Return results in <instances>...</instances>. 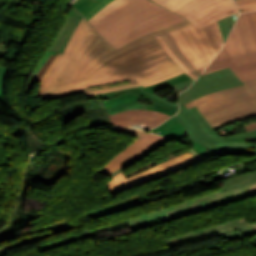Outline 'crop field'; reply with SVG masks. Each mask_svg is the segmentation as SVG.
<instances>
[{"label":"crop field","mask_w":256,"mask_h":256,"mask_svg":"<svg viewBox=\"0 0 256 256\" xmlns=\"http://www.w3.org/2000/svg\"><path fill=\"white\" fill-rule=\"evenodd\" d=\"M157 41L162 45V47L167 51V53L172 57V59L176 62L177 65H179L181 68H183L191 77L196 79V77L176 58V56L168 49V47L165 45L163 40L160 38V36L156 37Z\"/></svg>","instance_id":"crop-field-30"},{"label":"crop field","mask_w":256,"mask_h":256,"mask_svg":"<svg viewBox=\"0 0 256 256\" xmlns=\"http://www.w3.org/2000/svg\"><path fill=\"white\" fill-rule=\"evenodd\" d=\"M256 182V171L238 175L225 180L220 192L238 189Z\"/></svg>","instance_id":"crop-field-17"},{"label":"crop field","mask_w":256,"mask_h":256,"mask_svg":"<svg viewBox=\"0 0 256 256\" xmlns=\"http://www.w3.org/2000/svg\"><path fill=\"white\" fill-rule=\"evenodd\" d=\"M170 139L164 141L163 143L159 144L158 146L152 148L151 150L147 151L146 153H144L143 155L139 156L138 158H136L135 160L131 161L130 163H128L127 165L123 166L122 168L118 169L117 171H115L113 174H111L110 176L113 177L114 175L120 173L122 170H124L126 167H128L129 165L133 164L134 162H136L137 160H139L140 158H142L143 156L147 155L148 153H150L151 151L155 150L156 148L160 147L161 145H163L164 143L168 142Z\"/></svg>","instance_id":"crop-field-31"},{"label":"crop field","mask_w":256,"mask_h":256,"mask_svg":"<svg viewBox=\"0 0 256 256\" xmlns=\"http://www.w3.org/2000/svg\"><path fill=\"white\" fill-rule=\"evenodd\" d=\"M190 24L193 23L189 20L173 24L144 35L116 50L83 17L64 53H58L44 74L36 96L120 78L135 77L139 82L85 92L87 96L96 95L156 84L183 73L181 68L166 57V53L153 37Z\"/></svg>","instance_id":"crop-field-1"},{"label":"crop field","mask_w":256,"mask_h":256,"mask_svg":"<svg viewBox=\"0 0 256 256\" xmlns=\"http://www.w3.org/2000/svg\"><path fill=\"white\" fill-rule=\"evenodd\" d=\"M137 205H140V202L138 201V199L135 198V199H131V200H128L125 202L114 204V205H111L108 207L97 209V210H94L91 212H87V215L90 217V219H93V218L101 217V216L108 215V214H111L114 212H118V211L130 208V207H134Z\"/></svg>","instance_id":"crop-field-19"},{"label":"crop field","mask_w":256,"mask_h":256,"mask_svg":"<svg viewBox=\"0 0 256 256\" xmlns=\"http://www.w3.org/2000/svg\"><path fill=\"white\" fill-rule=\"evenodd\" d=\"M7 70H8V68L0 66V101L4 97L2 82H3L4 76L7 72Z\"/></svg>","instance_id":"crop-field-32"},{"label":"crop field","mask_w":256,"mask_h":256,"mask_svg":"<svg viewBox=\"0 0 256 256\" xmlns=\"http://www.w3.org/2000/svg\"><path fill=\"white\" fill-rule=\"evenodd\" d=\"M112 0H76L71 6L76 8L88 21L102 7Z\"/></svg>","instance_id":"crop-field-16"},{"label":"crop field","mask_w":256,"mask_h":256,"mask_svg":"<svg viewBox=\"0 0 256 256\" xmlns=\"http://www.w3.org/2000/svg\"><path fill=\"white\" fill-rule=\"evenodd\" d=\"M235 26L248 60L256 59V12L240 14Z\"/></svg>","instance_id":"crop-field-12"},{"label":"crop field","mask_w":256,"mask_h":256,"mask_svg":"<svg viewBox=\"0 0 256 256\" xmlns=\"http://www.w3.org/2000/svg\"><path fill=\"white\" fill-rule=\"evenodd\" d=\"M157 131H159V133H157ZM151 132L171 138H183L187 136L185 134V128L175 116L152 129Z\"/></svg>","instance_id":"crop-field-15"},{"label":"crop field","mask_w":256,"mask_h":256,"mask_svg":"<svg viewBox=\"0 0 256 256\" xmlns=\"http://www.w3.org/2000/svg\"><path fill=\"white\" fill-rule=\"evenodd\" d=\"M185 20L149 0H133L94 28L116 49L159 28Z\"/></svg>","instance_id":"crop-field-3"},{"label":"crop field","mask_w":256,"mask_h":256,"mask_svg":"<svg viewBox=\"0 0 256 256\" xmlns=\"http://www.w3.org/2000/svg\"><path fill=\"white\" fill-rule=\"evenodd\" d=\"M161 38L170 48V50L178 57V59L197 77L200 73L195 69V67L190 63L187 57L182 53L177 43L172 39L169 33L161 35Z\"/></svg>","instance_id":"crop-field-20"},{"label":"crop field","mask_w":256,"mask_h":256,"mask_svg":"<svg viewBox=\"0 0 256 256\" xmlns=\"http://www.w3.org/2000/svg\"><path fill=\"white\" fill-rule=\"evenodd\" d=\"M180 108L181 111L175 116L185 126L186 134L208 148V153H240V148L256 149L255 143L223 142L224 137L216 134L196 107L188 110L180 105Z\"/></svg>","instance_id":"crop-field-6"},{"label":"crop field","mask_w":256,"mask_h":256,"mask_svg":"<svg viewBox=\"0 0 256 256\" xmlns=\"http://www.w3.org/2000/svg\"><path fill=\"white\" fill-rule=\"evenodd\" d=\"M196 106L211 126L216 129L244 118L256 116V92L245 85L211 93L184 105Z\"/></svg>","instance_id":"crop-field-4"},{"label":"crop field","mask_w":256,"mask_h":256,"mask_svg":"<svg viewBox=\"0 0 256 256\" xmlns=\"http://www.w3.org/2000/svg\"><path fill=\"white\" fill-rule=\"evenodd\" d=\"M243 85L231 68L215 71L199 77L194 84L182 92L178 98L180 104L204 96L214 91Z\"/></svg>","instance_id":"crop-field-9"},{"label":"crop field","mask_w":256,"mask_h":256,"mask_svg":"<svg viewBox=\"0 0 256 256\" xmlns=\"http://www.w3.org/2000/svg\"><path fill=\"white\" fill-rule=\"evenodd\" d=\"M166 139L167 138L152 133L143 132L98 172L108 176L118 168L122 167L126 163L130 162Z\"/></svg>","instance_id":"crop-field-10"},{"label":"crop field","mask_w":256,"mask_h":256,"mask_svg":"<svg viewBox=\"0 0 256 256\" xmlns=\"http://www.w3.org/2000/svg\"><path fill=\"white\" fill-rule=\"evenodd\" d=\"M209 1H212V0H192L188 4H186L184 7L179 9L176 13L185 17L191 11H193L195 8L201 6L202 4L209 2Z\"/></svg>","instance_id":"crop-field-28"},{"label":"crop field","mask_w":256,"mask_h":256,"mask_svg":"<svg viewBox=\"0 0 256 256\" xmlns=\"http://www.w3.org/2000/svg\"><path fill=\"white\" fill-rule=\"evenodd\" d=\"M225 45L229 53L231 54L233 60L235 61L236 65L248 61L240 45L235 26Z\"/></svg>","instance_id":"crop-field-18"},{"label":"crop field","mask_w":256,"mask_h":256,"mask_svg":"<svg viewBox=\"0 0 256 256\" xmlns=\"http://www.w3.org/2000/svg\"><path fill=\"white\" fill-rule=\"evenodd\" d=\"M246 131L247 130H251V129H255L256 128V122L255 123H251V124H247V125H244Z\"/></svg>","instance_id":"crop-field-39"},{"label":"crop field","mask_w":256,"mask_h":256,"mask_svg":"<svg viewBox=\"0 0 256 256\" xmlns=\"http://www.w3.org/2000/svg\"><path fill=\"white\" fill-rule=\"evenodd\" d=\"M137 88L141 89V90H142L143 92H145L146 94H148V95H150V96H152V97H154V98H156V99H158V100H160V101H162V102H164V103H167V104H169V105H172V106H175V107L178 108L177 103H170V102H168V101H166V100L160 98L159 96L155 95V94H154L152 91H150L148 88H146V87L143 88L142 86L136 87V88L127 89V90L112 92V93H106V94H101V95H96V96H90V98L112 97V96L118 95V94H120V93L129 91V90H133V89H137Z\"/></svg>","instance_id":"crop-field-25"},{"label":"crop field","mask_w":256,"mask_h":256,"mask_svg":"<svg viewBox=\"0 0 256 256\" xmlns=\"http://www.w3.org/2000/svg\"><path fill=\"white\" fill-rule=\"evenodd\" d=\"M109 117L114 125L146 130L159 125L170 116L152 110H129Z\"/></svg>","instance_id":"crop-field-11"},{"label":"crop field","mask_w":256,"mask_h":256,"mask_svg":"<svg viewBox=\"0 0 256 256\" xmlns=\"http://www.w3.org/2000/svg\"><path fill=\"white\" fill-rule=\"evenodd\" d=\"M131 0H114L109 3L103 9H101L95 16H93L88 22L94 27L102 18L111 13L116 8L122 6L123 4Z\"/></svg>","instance_id":"crop-field-23"},{"label":"crop field","mask_w":256,"mask_h":256,"mask_svg":"<svg viewBox=\"0 0 256 256\" xmlns=\"http://www.w3.org/2000/svg\"><path fill=\"white\" fill-rule=\"evenodd\" d=\"M235 1L237 2L238 6L248 4V3H252V2H256V0H235Z\"/></svg>","instance_id":"crop-field-37"},{"label":"crop field","mask_w":256,"mask_h":256,"mask_svg":"<svg viewBox=\"0 0 256 256\" xmlns=\"http://www.w3.org/2000/svg\"><path fill=\"white\" fill-rule=\"evenodd\" d=\"M220 28H221V32H222V36L224 39V42L234 24V20H233V16H229L227 18H224L220 21H218Z\"/></svg>","instance_id":"crop-field-29"},{"label":"crop field","mask_w":256,"mask_h":256,"mask_svg":"<svg viewBox=\"0 0 256 256\" xmlns=\"http://www.w3.org/2000/svg\"><path fill=\"white\" fill-rule=\"evenodd\" d=\"M237 12L233 0H215L186 16L195 24L170 32L200 73L224 44L217 21Z\"/></svg>","instance_id":"crop-field-2"},{"label":"crop field","mask_w":256,"mask_h":256,"mask_svg":"<svg viewBox=\"0 0 256 256\" xmlns=\"http://www.w3.org/2000/svg\"><path fill=\"white\" fill-rule=\"evenodd\" d=\"M193 81H194V80L190 79V80H188V81H185V82L179 83V84H177V85H174V87H175V89L177 90V89H179V88H181V87H183V86H185V85L191 84Z\"/></svg>","instance_id":"crop-field-36"},{"label":"crop field","mask_w":256,"mask_h":256,"mask_svg":"<svg viewBox=\"0 0 256 256\" xmlns=\"http://www.w3.org/2000/svg\"><path fill=\"white\" fill-rule=\"evenodd\" d=\"M138 99H145V98H143L139 95L123 93L118 96L107 99L103 102L105 104V107H106L109 115H114V114H117L121 111L128 110V109H152V110H157L159 112L168 114V113L161 111L159 109H156L152 106L138 103ZM149 102H151V101H149ZM151 103H153V102H151ZM168 115H170V114H168ZM170 116H172V115H170Z\"/></svg>","instance_id":"crop-field-13"},{"label":"crop field","mask_w":256,"mask_h":256,"mask_svg":"<svg viewBox=\"0 0 256 256\" xmlns=\"http://www.w3.org/2000/svg\"><path fill=\"white\" fill-rule=\"evenodd\" d=\"M252 135H256V129L245 132V133L240 134V135H235V136H230V137H225V138L248 137V136H252Z\"/></svg>","instance_id":"crop-field-35"},{"label":"crop field","mask_w":256,"mask_h":256,"mask_svg":"<svg viewBox=\"0 0 256 256\" xmlns=\"http://www.w3.org/2000/svg\"><path fill=\"white\" fill-rule=\"evenodd\" d=\"M172 11H177L190 0H152Z\"/></svg>","instance_id":"crop-field-27"},{"label":"crop field","mask_w":256,"mask_h":256,"mask_svg":"<svg viewBox=\"0 0 256 256\" xmlns=\"http://www.w3.org/2000/svg\"><path fill=\"white\" fill-rule=\"evenodd\" d=\"M232 66H235V63L224 46V48L220 51V53L215 58V60L205 69L202 75L218 69L232 67Z\"/></svg>","instance_id":"crop-field-21"},{"label":"crop field","mask_w":256,"mask_h":256,"mask_svg":"<svg viewBox=\"0 0 256 256\" xmlns=\"http://www.w3.org/2000/svg\"><path fill=\"white\" fill-rule=\"evenodd\" d=\"M239 8H240V12L255 10L256 9V3L240 6Z\"/></svg>","instance_id":"crop-field-33"},{"label":"crop field","mask_w":256,"mask_h":256,"mask_svg":"<svg viewBox=\"0 0 256 256\" xmlns=\"http://www.w3.org/2000/svg\"><path fill=\"white\" fill-rule=\"evenodd\" d=\"M256 234V223L249 225L245 217L232 220L226 223L208 227L202 230L184 234L178 237L165 240L168 249L186 243L220 235L227 241Z\"/></svg>","instance_id":"crop-field-8"},{"label":"crop field","mask_w":256,"mask_h":256,"mask_svg":"<svg viewBox=\"0 0 256 256\" xmlns=\"http://www.w3.org/2000/svg\"><path fill=\"white\" fill-rule=\"evenodd\" d=\"M129 79H132V78H129ZM120 80H126V79H120ZM120 80H113V81H107V82H101V83H95V84H90V85H86V86H81V87L61 91V92H58V93H54V94H51V95L42 96V99H58V98H61V97H65V96L85 92V90L82 87L93 86V85L109 83V82H114V81H120Z\"/></svg>","instance_id":"crop-field-24"},{"label":"crop field","mask_w":256,"mask_h":256,"mask_svg":"<svg viewBox=\"0 0 256 256\" xmlns=\"http://www.w3.org/2000/svg\"><path fill=\"white\" fill-rule=\"evenodd\" d=\"M187 79H190V77H188L185 73H183V74H180L178 76L169 78V79H167V80H165L163 82H160V83H158L156 85L148 86V88L150 90H152L153 92H155V91L160 90V89H162L164 87H168V86L177 84V83L185 81Z\"/></svg>","instance_id":"crop-field-26"},{"label":"crop field","mask_w":256,"mask_h":256,"mask_svg":"<svg viewBox=\"0 0 256 256\" xmlns=\"http://www.w3.org/2000/svg\"><path fill=\"white\" fill-rule=\"evenodd\" d=\"M248 89L252 92L256 90V79L244 82Z\"/></svg>","instance_id":"crop-field-34"},{"label":"crop field","mask_w":256,"mask_h":256,"mask_svg":"<svg viewBox=\"0 0 256 256\" xmlns=\"http://www.w3.org/2000/svg\"><path fill=\"white\" fill-rule=\"evenodd\" d=\"M82 15L74 9L68 13L67 17L65 18L61 29L59 30L57 36L53 40L52 44L48 48V50L63 52L73 30L77 26V24L82 19Z\"/></svg>","instance_id":"crop-field-14"},{"label":"crop field","mask_w":256,"mask_h":256,"mask_svg":"<svg viewBox=\"0 0 256 256\" xmlns=\"http://www.w3.org/2000/svg\"><path fill=\"white\" fill-rule=\"evenodd\" d=\"M152 106H154V107H156V108H159V109H161V110H164V111H166V112H169V113H171V114H176V112L175 111H171V110H169V109H166V108H164V107H161V106H159V105H157V104H153Z\"/></svg>","instance_id":"crop-field-38"},{"label":"crop field","mask_w":256,"mask_h":256,"mask_svg":"<svg viewBox=\"0 0 256 256\" xmlns=\"http://www.w3.org/2000/svg\"><path fill=\"white\" fill-rule=\"evenodd\" d=\"M209 157L196 155L192 151L183 154L174 159L163 162L143 173H140L134 177L125 180L124 172L114 176L108 181L111 195H116L122 191L134 188L138 185L175 172L185 166L196 163Z\"/></svg>","instance_id":"crop-field-7"},{"label":"crop field","mask_w":256,"mask_h":256,"mask_svg":"<svg viewBox=\"0 0 256 256\" xmlns=\"http://www.w3.org/2000/svg\"><path fill=\"white\" fill-rule=\"evenodd\" d=\"M255 195L256 183L222 194L211 193L165 209L123 220V222L134 232Z\"/></svg>","instance_id":"crop-field-5"},{"label":"crop field","mask_w":256,"mask_h":256,"mask_svg":"<svg viewBox=\"0 0 256 256\" xmlns=\"http://www.w3.org/2000/svg\"><path fill=\"white\" fill-rule=\"evenodd\" d=\"M232 70L242 82L256 78V60L232 67Z\"/></svg>","instance_id":"crop-field-22"}]
</instances>
